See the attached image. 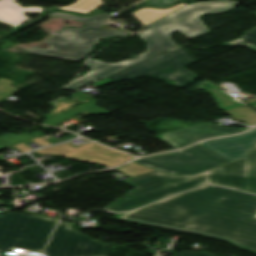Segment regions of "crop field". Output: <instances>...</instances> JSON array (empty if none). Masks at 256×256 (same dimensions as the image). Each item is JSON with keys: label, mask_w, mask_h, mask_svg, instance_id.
I'll return each instance as SVG.
<instances>
[{"label": "crop field", "mask_w": 256, "mask_h": 256, "mask_svg": "<svg viewBox=\"0 0 256 256\" xmlns=\"http://www.w3.org/2000/svg\"><path fill=\"white\" fill-rule=\"evenodd\" d=\"M119 220L211 238L256 254V195L240 191L202 186Z\"/></svg>", "instance_id": "obj_1"}, {"label": "crop field", "mask_w": 256, "mask_h": 256, "mask_svg": "<svg viewBox=\"0 0 256 256\" xmlns=\"http://www.w3.org/2000/svg\"><path fill=\"white\" fill-rule=\"evenodd\" d=\"M238 6L237 1L230 0H215L186 5L149 24L148 26L150 28L148 30L139 33L140 37L148 45L145 53L118 64H105L102 61L89 59L87 66L92 68V71L65 88L78 89L175 46L174 42L170 39V34L174 30H178L190 39L206 33L208 29L198 18L200 15L205 13L225 12Z\"/></svg>", "instance_id": "obj_2"}, {"label": "crop field", "mask_w": 256, "mask_h": 256, "mask_svg": "<svg viewBox=\"0 0 256 256\" xmlns=\"http://www.w3.org/2000/svg\"><path fill=\"white\" fill-rule=\"evenodd\" d=\"M207 183L256 194V145L246 158L194 176L167 174L133 189L106 208L129 211Z\"/></svg>", "instance_id": "obj_3"}, {"label": "crop field", "mask_w": 256, "mask_h": 256, "mask_svg": "<svg viewBox=\"0 0 256 256\" xmlns=\"http://www.w3.org/2000/svg\"><path fill=\"white\" fill-rule=\"evenodd\" d=\"M50 16L69 18L88 22L84 29H63L46 43L51 47L48 50L31 48L27 52L47 54L68 59L79 60L92 51V46L99 43V38H108L114 35L125 36L129 33L99 29L110 17V14L102 13L96 16L80 17L77 15L51 12Z\"/></svg>", "instance_id": "obj_4"}, {"label": "crop field", "mask_w": 256, "mask_h": 256, "mask_svg": "<svg viewBox=\"0 0 256 256\" xmlns=\"http://www.w3.org/2000/svg\"><path fill=\"white\" fill-rule=\"evenodd\" d=\"M56 221L14 213L0 216V256L13 247L42 251Z\"/></svg>", "instance_id": "obj_5"}, {"label": "crop field", "mask_w": 256, "mask_h": 256, "mask_svg": "<svg viewBox=\"0 0 256 256\" xmlns=\"http://www.w3.org/2000/svg\"><path fill=\"white\" fill-rule=\"evenodd\" d=\"M207 155L209 157H206ZM228 162L230 161L208 150L201 144L178 154L155 156L135 161V163L174 175L196 174Z\"/></svg>", "instance_id": "obj_6"}, {"label": "crop field", "mask_w": 256, "mask_h": 256, "mask_svg": "<svg viewBox=\"0 0 256 256\" xmlns=\"http://www.w3.org/2000/svg\"><path fill=\"white\" fill-rule=\"evenodd\" d=\"M60 222L45 251L47 256H106L108 244L100 243Z\"/></svg>", "instance_id": "obj_7"}, {"label": "crop field", "mask_w": 256, "mask_h": 256, "mask_svg": "<svg viewBox=\"0 0 256 256\" xmlns=\"http://www.w3.org/2000/svg\"><path fill=\"white\" fill-rule=\"evenodd\" d=\"M194 62H196V59L186 48L178 45L107 78L112 81L118 79H134L140 75L155 78Z\"/></svg>", "instance_id": "obj_8"}, {"label": "crop field", "mask_w": 256, "mask_h": 256, "mask_svg": "<svg viewBox=\"0 0 256 256\" xmlns=\"http://www.w3.org/2000/svg\"><path fill=\"white\" fill-rule=\"evenodd\" d=\"M242 128L226 127L206 123L174 132H170L164 135L157 136L161 141L173 146L175 149L186 146L198 139L206 138L210 136L225 135L243 131Z\"/></svg>", "instance_id": "obj_9"}, {"label": "crop field", "mask_w": 256, "mask_h": 256, "mask_svg": "<svg viewBox=\"0 0 256 256\" xmlns=\"http://www.w3.org/2000/svg\"><path fill=\"white\" fill-rule=\"evenodd\" d=\"M202 144L224 158L234 161L245 157L256 144V129L238 137L222 138Z\"/></svg>", "instance_id": "obj_10"}, {"label": "crop field", "mask_w": 256, "mask_h": 256, "mask_svg": "<svg viewBox=\"0 0 256 256\" xmlns=\"http://www.w3.org/2000/svg\"><path fill=\"white\" fill-rule=\"evenodd\" d=\"M68 159L105 165L107 167L117 165L132 157L113 151L104 146L92 143L68 156Z\"/></svg>", "instance_id": "obj_11"}, {"label": "crop field", "mask_w": 256, "mask_h": 256, "mask_svg": "<svg viewBox=\"0 0 256 256\" xmlns=\"http://www.w3.org/2000/svg\"><path fill=\"white\" fill-rule=\"evenodd\" d=\"M12 1L13 0H0V22L13 28L29 20L23 15L24 13L33 12L40 14L43 10L42 7L23 8L18 6L21 3H13Z\"/></svg>", "instance_id": "obj_12"}, {"label": "crop field", "mask_w": 256, "mask_h": 256, "mask_svg": "<svg viewBox=\"0 0 256 256\" xmlns=\"http://www.w3.org/2000/svg\"><path fill=\"white\" fill-rule=\"evenodd\" d=\"M97 103L95 102H92V103H89L87 105H84V106H81V107H78L76 109H73V110H70V111H67L65 113H62V114H59L57 116H54V117H51L47 120H44L42 123L43 124H47V125H51V126H54L60 122H63L71 117H73L74 115L86 110L92 114H105V113H109V111L105 110V109H102V108H98V107H95Z\"/></svg>", "instance_id": "obj_13"}, {"label": "crop field", "mask_w": 256, "mask_h": 256, "mask_svg": "<svg viewBox=\"0 0 256 256\" xmlns=\"http://www.w3.org/2000/svg\"><path fill=\"white\" fill-rule=\"evenodd\" d=\"M184 5H186V3H182L171 9H165V10H158L154 8H142L133 12L132 14L143 24H149Z\"/></svg>", "instance_id": "obj_14"}, {"label": "crop field", "mask_w": 256, "mask_h": 256, "mask_svg": "<svg viewBox=\"0 0 256 256\" xmlns=\"http://www.w3.org/2000/svg\"><path fill=\"white\" fill-rule=\"evenodd\" d=\"M182 70H176V71H173L171 73H168V74H165L163 76H160V78L172 85H175L177 87H180L190 81H193V80H197L198 77L192 73V72H189L183 68H181ZM169 79H173V80H176L175 82L171 83L167 80Z\"/></svg>", "instance_id": "obj_15"}, {"label": "crop field", "mask_w": 256, "mask_h": 256, "mask_svg": "<svg viewBox=\"0 0 256 256\" xmlns=\"http://www.w3.org/2000/svg\"><path fill=\"white\" fill-rule=\"evenodd\" d=\"M206 85L212 87V89H208L202 85H200V86L207 89L210 93H212L214 95L215 99L220 102V107L223 110L227 111V110H231L234 108L242 107L240 104L233 101L229 96H227L224 92H222L216 86L212 85L209 82Z\"/></svg>", "instance_id": "obj_16"}, {"label": "crop field", "mask_w": 256, "mask_h": 256, "mask_svg": "<svg viewBox=\"0 0 256 256\" xmlns=\"http://www.w3.org/2000/svg\"><path fill=\"white\" fill-rule=\"evenodd\" d=\"M225 113L236 120L246 122L250 125H253L256 123V112L247 106L238 108L235 110L227 111ZM241 115H243L244 117Z\"/></svg>", "instance_id": "obj_17"}, {"label": "crop field", "mask_w": 256, "mask_h": 256, "mask_svg": "<svg viewBox=\"0 0 256 256\" xmlns=\"http://www.w3.org/2000/svg\"><path fill=\"white\" fill-rule=\"evenodd\" d=\"M101 3H102L101 0H77V3L71 4L70 6H64L61 8L71 10V11L86 13V12H91Z\"/></svg>", "instance_id": "obj_18"}, {"label": "crop field", "mask_w": 256, "mask_h": 256, "mask_svg": "<svg viewBox=\"0 0 256 256\" xmlns=\"http://www.w3.org/2000/svg\"><path fill=\"white\" fill-rule=\"evenodd\" d=\"M39 137L38 135H28V134H22V135H13V134H9L6 135L4 137L0 138V149L24 142V141H28L30 139Z\"/></svg>", "instance_id": "obj_19"}, {"label": "crop field", "mask_w": 256, "mask_h": 256, "mask_svg": "<svg viewBox=\"0 0 256 256\" xmlns=\"http://www.w3.org/2000/svg\"><path fill=\"white\" fill-rule=\"evenodd\" d=\"M244 44L256 50V28L251 29L243 34V36L235 41L223 44L226 46Z\"/></svg>", "instance_id": "obj_20"}, {"label": "crop field", "mask_w": 256, "mask_h": 256, "mask_svg": "<svg viewBox=\"0 0 256 256\" xmlns=\"http://www.w3.org/2000/svg\"><path fill=\"white\" fill-rule=\"evenodd\" d=\"M87 144H89V143H87ZM87 144H85V145H87ZM85 145H82L75 149L67 144H63V145L53 146V147L46 148V149H41V150H38L35 152H37L41 155L50 153V154H55V155H59V156H65V155L85 146Z\"/></svg>", "instance_id": "obj_21"}, {"label": "crop field", "mask_w": 256, "mask_h": 256, "mask_svg": "<svg viewBox=\"0 0 256 256\" xmlns=\"http://www.w3.org/2000/svg\"><path fill=\"white\" fill-rule=\"evenodd\" d=\"M165 174L166 173L154 171V172H151V173H147V174H144V175L133 177L132 179H129L127 182H125V184L137 187V186H140L144 183H147V182H149L153 179H156L160 176H163Z\"/></svg>", "instance_id": "obj_22"}, {"label": "crop field", "mask_w": 256, "mask_h": 256, "mask_svg": "<svg viewBox=\"0 0 256 256\" xmlns=\"http://www.w3.org/2000/svg\"><path fill=\"white\" fill-rule=\"evenodd\" d=\"M117 171L129 176V177H133V176H137L140 174H144L147 172H151L154 171L153 169L147 168L145 166L139 165V164H135L132 163L130 165H127L123 168L120 169H116Z\"/></svg>", "instance_id": "obj_23"}, {"label": "crop field", "mask_w": 256, "mask_h": 256, "mask_svg": "<svg viewBox=\"0 0 256 256\" xmlns=\"http://www.w3.org/2000/svg\"><path fill=\"white\" fill-rule=\"evenodd\" d=\"M11 83L12 81L5 80V79L0 81V99L12 93H17L18 91H20V89L11 87L10 86Z\"/></svg>", "instance_id": "obj_24"}, {"label": "crop field", "mask_w": 256, "mask_h": 256, "mask_svg": "<svg viewBox=\"0 0 256 256\" xmlns=\"http://www.w3.org/2000/svg\"><path fill=\"white\" fill-rule=\"evenodd\" d=\"M179 0H151L150 6L168 7Z\"/></svg>", "instance_id": "obj_25"}, {"label": "crop field", "mask_w": 256, "mask_h": 256, "mask_svg": "<svg viewBox=\"0 0 256 256\" xmlns=\"http://www.w3.org/2000/svg\"><path fill=\"white\" fill-rule=\"evenodd\" d=\"M212 256L209 253H203V252H182L178 254L177 256Z\"/></svg>", "instance_id": "obj_26"}, {"label": "crop field", "mask_w": 256, "mask_h": 256, "mask_svg": "<svg viewBox=\"0 0 256 256\" xmlns=\"http://www.w3.org/2000/svg\"><path fill=\"white\" fill-rule=\"evenodd\" d=\"M36 143H38L39 145L43 146V145H48L50 144L49 142H47L46 140H44L43 138L39 137L36 139H33Z\"/></svg>", "instance_id": "obj_27"}, {"label": "crop field", "mask_w": 256, "mask_h": 256, "mask_svg": "<svg viewBox=\"0 0 256 256\" xmlns=\"http://www.w3.org/2000/svg\"><path fill=\"white\" fill-rule=\"evenodd\" d=\"M18 149H20L21 151L25 152L28 150H31L30 148H28L26 145H24L23 143L15 145Z\"/></svg>", "instance_id": "obj_28"}, {"label": "crop field", "mask_w": 256, "mask_h": 256, "mask_svg": "<svg viewBox=\"0 0 256 256\" xmlns=\"http://www.w3.org/2000/svg\"><path fill=\"white\" fill-rule=\"evenodd\" d=\"M249 106L253 107L254 109H256V101L251 102V103H247Z\"/></svg>", "instance_id": "obj_29"}, {"label": "crop field", "mask_w": 256, "mask_h": 256, "mask_svg": "<svg viewBox=\"0 0 256 256\" xmlns=\"http://www.w3.org/2000/svg\"><path fill=\"white\" fill-rule=\"evenodd\" d=\"M0 195H2V194H0ZM0 205H2V202H0Z\"/></svg>", "instance_id": "obj_30"}]
</instances>
